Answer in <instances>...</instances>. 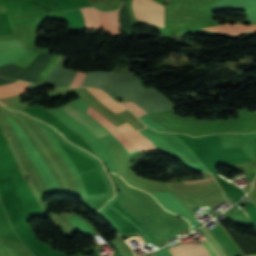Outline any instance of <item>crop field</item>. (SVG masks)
Here are the masks:
<instances>
[{"instance_id": "8a807250", "label": "crop field", "mask_w": 256, "mask_h": 256, "mask_svg": "<svg viewBox=\"0 0 256 256\" xmlns=\"http://www.w3.org/2000/svg\"><path fill=\"white\" fill-rule=\"evenodd\" d=\"M132 10L136 19L164 27V6L153 0H133Z\"/></svg>"}, {"instance_id": "ac0d7876", "label": "crop field", "mask_w": 256, "mask_h": 256, "mask_svg": "<svg viewBox=\"0 0 256 256\" xmlns=\"http://www.w3.org/2000/svg\"><path fill=\"white\" fill-rule=\"evenodd\" d=\"M174 256H217L210 244L205 240L199 245L188 243L170 248Z\"/></svg>"}, {"instance_id": "34b2d1b8", "label": "crop field", "mask_w": 256, "mask_h": 256, "mask_svg": "<svg viewBox=\"0 0 256 256\" xmlns=\"http://www.w3.org/2000/svg\"><path fill=\"white\" fill-rule=\"evenodd\" d=\"M210 232L220 243L226 256H243L242 252L238 249V247L234 244L230 237L224 232L220 224L213 228Z\"/></svg>"}, {"instance_id": "412701ff", "label": "crop field", "mask_w": 256, "mask_h": 256, "mask_svg": "<svg viewBox=\"0 0 256 256\" xmlns=\"http://www.w3.org/2000/svg\"><path fill=\"white\" fill-rule=\"evenodd\" d=\"M90 116L93 117L102 126H104L107 130H109L113 135H115L123 144V146L128 150L129 153L137 150L126 136H124L113 124H111L105 117H103L97 111L94 110Z\"/></svg>"}, {"instance_id": "f4fd0767", "label": "crop field", "mask_w": 256, "mask_h": 256, "mask_svg": "<svg viewBox=\"0 0 256 256\" xmlns=\"http://www.w3.org/2000/svg\"><path fill=\"white\" fill-rule=\"evenodd\" d=\"M118 129L130 139L139 151L154 149V146L128 123L118 127Z\"/></svg>"}, {"instance_id": "dd49c442", "label": "crop field", "mask_w": 256, "mask_h": 256, "mask_svg": "<svg viewBox=\"0 0 256 256\" xmlns=\"http://www.w3.org/2000/svg\"><path fill=\"white\" fill-rule=\"evenodd\" d=\"M63 111H65L67 114L73 117L76 121H78L80 124H82L84 127H86L89 131H91L100 139L109 136V134H107L105 131L99 128L96 124H94L92 121H90L88 118H86L83 114H81L72 106L63 109Z\"/></svg>"}, {"instance_id": "e52e79f7", "label": "crop field", "mask_w": 256, "mask_h": 256, "mask_svg": "<svg viewBox=\"0 0 256 256\" xmlns=\"http://www.w3.org/2000/svg\"><path fill=\"white\" fill-rule=\"evenodd\" d=\"M117 12L118 11L111 12V13L98 12L103 30L111 33V35L114 37L119 36V29H118L119 24L117 20Z\"/></svg>"}, {"instance_id": "d8731c3e", "label": "crop field", "mask_w": 256, "mask_h": 256, "mask_svg": "<svg viewBox=\"0 0 256 256\" xmlns=\"http://www.w3.org/2000/svg\"><path fill=\"white\" fill-rule=\"evenodd\" d=\"M86 29H101L98 14L93 8L81 9Z\"/></svg>"}, {"instance_id": "5a996713", "label": "crop field", "mask_w": 256, "mask_h": 256, "mask_svg": "<svg viewBox=\"0 0 256 256\" xmlns=\"http://www.w3.org/2000/svg\"><path fill=\"white\" fill-rule=\"evenodd\" d=\"M119 21L121 25V31L126 33L128 37H133L134 27L128 9L124 4L120 10Z\"/></svg>"}, {"instance_id": "3316defc", "label": "crop field", "mask_w": 256, "mask_h": 256, "mask_svg": "<svg viewBox=\"0 0 256 256\" xmlns=\"http://www.w3.org/2000/svg\"><path fill=\"white\" fill-rule=\"evenodd\" d=\"M100 11H115L120 8L121 0H89Z\"/></svg>"}, {"instance_id": "28ad6ade", "label": "crop field", "mask_w": 256, "mask_h": 256, "mask_svg": "<svg viewBox=\"0 0 256 256\" xmlns=\"http://www.w3.org/2000/svg\"><path fill=\"white\" fill-rule=\"evenodd\" d=\"M93 95H95L99 100H101L105 105L112 109L115 113L123 111L125 108L111 100L103 91L97 89H87Z\"/></svg>"}, {"instance_id": "d1516ede", "label": "crop field", "mask_w": 256, "mask_h": 256, "mask_svg": "<svg viewBox=\"0 0 256 256\" xmlns=\"http://www.w3.org/2000/svg\"><path fill=\"white\" fill-rule=\"evenodd\" d=\"M204 235L206 236V239L212 244V246L216 249L217 253L221 254L222 256H225L224 253L221 251L218 243L215 241V239L211 236V234L208 232V230L204 227L200 229ZM220 256V255H219Z\"/></svg>"}, {"instance_id": "22f410ed", "label": "crop field", "mask_w": 256, "mask_h": 256, "mask_svg": "<svg viewBox=\"0 0 256 256\" xmlns=\"http://www.w3.org/2000/svg\"><path fill=\"white\" fill-rule=\"evenodd\" d=\"M120 104L130 109L136 116L145 113V111H143L140 107H138L136 104H134L131 101L120 103Z\"/></svg>"}, {"instance_id": "cbeb9de0", "label": "crop field", "mask_w": 256, "mask_h": 256, "mask_svg": "<svg viewBox=\"0 0 256 256\" xmlns=\"http://www.w3.org/2000/svg\"><path fill=\"white\" fill-rule=\"evenodd\" d=\"M85 75H86V73L78 72V74L74 78V80H73L72 84L70 85V87H80L81 83L83 82V80L85 78Z\"/></svg>"}, {"instance_id": "5142ce71", "label": "crop field", "mask_w": 256, "mask_h": 256, "mask_svg": "<svg viewBox=\"0 0 256 256\" xmlns=\"http://www.w3.org/2000/svg\"><path fill=\"white\" fill-rule=\"evenodd\" d=\"M213 177L207 178L204 180H198V181H185V184H194V183H201V182H208V181H213Z\"/></svg>"}, {"instance_id": "d9b57169", "label": "crop field", "mask_w": 256, "mask_h": 256, "mask_svg": "<svg viewBox=\"0 0 256 256\" xmlns=\"http://www.w3.org/2000/svg\"><path fill=\"white\" fill-rule=\"evenodd\" d=\"M7 82H11V81H10V80H6V79H3V78L0 77V84H1V83H7Z\"/></svg>"}, {"instance_id": "733c2abd", "label": "crop field", "mask_w": 256, "mask_h": 256, "mask_svg": "<svg viewBox=\"0 0 256 256\" xmlns=\"http://www.w3.org/2000/svg\"><path fill=\"white\" fill-rule=\"evenodd\" d=\"M242 210V209H241ZM243 211V210H242ZM244 212V211H243ZM246 215H247V213L246 212H244ZM248 216V215H247Z\"/></svg>"}, {"instance_id": "4a817a6b", "label": "crop field", "mask_w": 256, "mask_h": 256, "mask_svg": "<svg viewBox=\"0 0 256 256\" xmlns=\"http://www.w3.org/2000/svg\"><path fill=\"white\" fill-rule=\"evenodd\" d=\"M250 256H256V254L250 255Z\"/></svg>"}, {"instance_id": "bc2a9ffb", "label": "crop field", "mask_w": 256, "mask_h": 256, "mask_svg": "<svg viewBox=\"0 0 256 256\" xmlns=\"http://www.w3.org/2000/svg\"><path fill=\"white\" fill-rule=\"evenodd\" d=\"M1 103V102H0ZM3 105V103H1Z\"/></svg>"}, {"instance_id": "214f88e0", "label": "crop field", "mask_w": 256, "mask_h": 256, "mask_svg": "<svg viewBox=\"0 0 256 256\" xmlns=\"http://www.w3.org/2000/svg\"><path fill=\"white\" fill-rule=\"evenodd\" d=\"M167 247V246H166ZM168 248V247H167ZM172 254V253H171Z\"/></svg>"}]
</instances>
